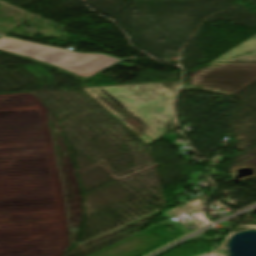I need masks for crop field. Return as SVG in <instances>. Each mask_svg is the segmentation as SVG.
I'll use <instances>...</instances> for the list:
<instances>
[{
	"instance_id": "crop-field-1",
	"label": "crop field",
	"mask_w": 256,
	"mask_h": 256,
	"mask_svg": "<svg viewBox=\"0 0 256 256\" xmlns=\"http://www.w3.org/2000/svg\"><path fill=\"white\" fill-rule=\"evenodd\" d=\"M153 141L164 135L165 122L172 120L175 92L161 83L91 88Z\"/></svg>"
},
{
	"instance_id": "crop-field-2",
	"label": "crop field",
	"mask_w": 256,
	"mask_h": 256,
	"mask_svg": "<svg viewBox=\"0 0 256 256\" xmlns=\"http://www.w3.org/2000/svg\"><path fill=\"white\" fill-rule=\"evenodd\" d=\"M0 50L30 56L85 78L121 60L103 54L78 53L6 36L0 38Z\"/></svg>"
},
{
	"instance_id": "crop-field-5",
	"label": "crop field",
	"mask_w": 256,
	"mask_h": 256,
	"mask_svg": "<svg viewBox=\"0 0 256 256\" xmlns=\"http://www.w3.org/2000/svg\"><path fill=\"white\" fill-rule=\"evenodd\" d=\"M89 93L95 100H97L103 107H105L111 114H113L119 121H121L127 128H129L135 135H137L143 142L150 144L153 142L149 137H147L140 129H138L134 124H132L128 119H126L122 114L115 110L111 105H109L105 100H103L99 95H97L90 88L84 89Z\"/></svg>"
},
{
	"instance_id": "crop-field-6",
	"label": "crop field",
	"mask_w": 256,
	"mask_h": 256,
	"mask_svg": "<svg viewBox=\"0 0 256 256\" xmlns=\"http://www.w3.org/2000/svg\"><path fill=\"white\" fill-rule=\"evenodd\" d=\"M3 35H0V37H2Z\"/></svg>"
},
{
	"instance_id": "crop-field-3",
	"label": "crop field",
	"mask_w": 256,
	"mask_h": 256,
	"mask_svg": "<svg viewBox=\"0 0 256 256\" xmlns=\"http://www.w3.org/2000/svg\"><path fill=\"white\" fill-rule=\"evenodd\" d=\"M255 81L256 64L211 63L209 67L191 76L190 84L208 86L205 88H193L211 91H222L233 95L243 87Z\"/></svg>"
},
{
	"instance_id": "crop-field-4",
	"label": "crop field",
	"mask_w": 256,
	"mask_h": 256,
	"mask_svg": "<svg viewBox=\"0 0 256 256\" xmlns=\"http://www.w3.org/2000/svg\"><path fill=\"white\" fill-rule=\"evenodd\" d=\"M212 62H256V36Z\"/></svg>"
}]
</instances>
